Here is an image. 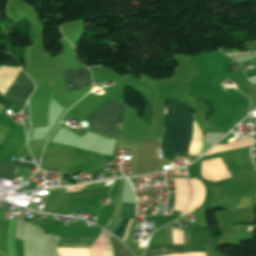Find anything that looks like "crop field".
Listing matches in <instances>:
<instances>
[{
    "instance_id": "obj_1",
    "label": "crop field",
    "mask_w": 256,
    "mask_h": 256,
    "mask_svg": "<svg viewBox=\"0 0 256 256\" xmlns=\"http://www.w3.org/2000/svg\"><path fill=\"white\" fill-rule=\"evenodd\" d=\"M168 109L164 122V133L161 140L163 155L188 154L192 138L193 109L175 100L168 99Z\"/></svg>"
},
{
    "instance_id": "obj_2",
    "label": "crop field",
    "mask_w": 256,
    "mask_h": 256,
    "mask_svg": "<svg viewBox=\"0 0 256 256\" xmlns=\"http://www.w3.org/2000/svg\"><path fill=\"white\" fill-rule=\"evenodd\" d=\"M122 115L123 105L108 100L90 115L87 120L92 130L108 136L118 137L120 130L115 129L114 126L116 123H121Z\"/></svg>"
},
{
    "instance_id": "obj_3",
    "label": "crop field",
    "mask_w": 256,
    "mask_h": 256,
    "mask_svg": "<svg viewBox=\"0 0 256 256\" xmlns=\"http://www.w3.org/2000/svg\"><path fill=\"white\" fill-rule=\"evenodd\" d=\"M33 88V83L24 74L3 96L23 108Z\"/></svg>"
},
{
    "instance_id": "obj_4",
    "label": "crop field",
    "mask_w": 256,
    "mask_h": 256,
    "mask_svg": "<svg viewBox=\"0 0 256 256\" xmlns=\"http://www.w3.org/2000/svg\"><path fill=\"white\" fill-rule=\"evenodd\" d=\"M201 175L203 179L209 181L227 179L230 177L220 158L202 161Z\"/></svg>"
},
{
    "instance_id": "obj_5",
    "label": "crop field",
    "mask_w": 256,
    "mask_h": 256,
    "mask_svg": "<svg viewBox=\"0 0 256 256\" xmlns=\"http://www.w3.org/2000/svg\"><path fill=\"white\" fill-rule=\"evenodd\" d=\"M64 74L68 91L80 89L92 84L91 75L87 69L66 71Z\"/></svg>"
},
{
    "instance_id": "obj_6",
    "label": "crop field",
    "mask_w": 256,
    "mask_h": 256,
    "mask_svg": "<svg viewBox=\"0 0 256 256\" xmlns=\"http://www.w3.org/2000/svg\"><path fill=\"white\" fill-rule=\"evenodd\" d=\"M188 180V179H187ZM189 184V181H188ZM175 185V207L173 210L183 211L188 203V185L186 179H174ZM191 197V190L189 184V199Z\"/></svg>"
},
{
    "instance_id": "obj_7",
    "label": "crop field",
    "mask_w": 256,
    "mask_h": 256,
    "mask_svg": "<svg viewBox=\"0 0 256 256\" xmlns=\"http://www.w3.org/2000/svg\"><path fill=\"white\" fill-rule=\"evenodd\" d=\"M190 251L191 249L189 246L185 245H157L148 246L144 256H165Z\"/></svg>"
},
{
    "instance_id": "obj_8",
    "label": "crop field",
    "mask_w": 256,
    "mask_h": 256,
    "mask_svg": "<svg viewBox=\"0 0 256 256\" xmlns=\"http://www.w3.org/2000/svg\"><path fill=\"white\" fill-rule=\"evenodd\" d=\"M192 184V200L188 203L185 211L183 214L193 211L200 207L203 199H204V186L203 184L197 179H189Z\"/></svg>"
},
{
    "instance_id": "obj_9",
    "label": "crop field",
    "mask_w": 256,
    "mask_h": 256,
    "mask_svg": "<svg viewBox=\"0 0 256 256\" xmlns=\"http://www.w3.org/2000/svg\"><path fill=\"white\" fill-rule=\"evenodd\" d=\"M95 238L60 237L57 247L89 248Z\"/></svg>"
},
{
    "instance_id": "obj_10",
    "label": "crop field",
    "mask_w": 256,
    "mask_h": 256,
    "mask_svg": "<svg viewBox=\"0 0 256 256\" xmlns=\"http://www.w3.org/2000/svg\"><path fill=\"white\" fill-rule=\"evenodd\" d=\"M167 244H173L171 225L166 227ZM177 244H181V230L177 231ZM182 244H192V236L182 232Z\"/></svg>"
},
{
    "instance_id": "obj_11",
    "label": "crop field",
    "mask_w": 256,
    "mask_h": 256,
    "mask_svg": "<svg viewBox=\"0 0 256 256\" xmlns=\"http://www.w3.org/2000/svg\"><path fill=\"white\" fill-rule=\"evenodd\" d=\"M109 239L112 243L114 256H128V251L117 239L114 237H110Z\"/></svg>"
},
{
    "instance_id": "obj_12",
    "label": "crop field",
    "mask_w": 256,
    "mask_h": 256,
    "mask_svg": "<svg viewBox=\"0 0 256 256\" xmlns=\"http://www.w3.org/2000/svg\"><path fill=\"white\" fill-rule=\"evenodd\" d=\"M135 205L122 204L120 217L134 218Z\"/></svg>"
},
{
    "instance_id": "obj_13",
    "label": "crop field",
    "mask_w": 256,
    "mask_h": 256,
    "mask_svg": "<svg viewBox=\"0 0 256 256\" xmlns=\"http://www.w3.org/2000/svg\"><path fill=\"white\" fill-rule=\"evenodd\" d=\"M128 220H129V219H123V221H122V223L120 224V226H119V227L115 230V232L113 233V234H115L116 236H118L120 239L123 238V235H124V232H125V229H126ZM130 221H131V220H129V223H128V226H127V229H126V232H125L123 241L125 240V238H126V236H127V232H128V228H129V225H130Z\"/></svg>"
},
{
    "instance_id": "obj_14",
    "label": "crop field",
    "mask_w": 256,
    "mask_h": 256,
    "mask_svg": "<svg viewBox=\"0 0 256 256\" xmlns=\"http://www.w3.org/2000/svg\"><path fill=\"white\" fill-rule=\"evenodd\" d=\"M10 165L19 166V167H27V168H35L36 169L35 165L28 164V163H18V162L11 161ZM13 166H10L8 179L14 181V178H15V167H13Z\"/></svg>"
},
{
    "instance_id": "obj_15",
    "label": "crop field",
    "mask_w": 256,
    "mask_h": 256,
    "mask_svg": "<svg viewBox=\"0 0 256 256\" xmlns=\"http://www.w3.org/2000/svg\"><path fill=\"white\" fill-rule=\"evenodd\" d=\"M109 236H111V235H109L107 232L103 231L102 237H103L105 256H113L111 244L108 240Z\"/></svg>"
},
{
    "instance_id": "obj_16",
    "label": "crop field",
    "mask_w": 256,
    "mask_h": 256,
    "mask_svg": "<svg viewBox=\"0 0 256 256\" xmlns=\"http://www.w3.org/2000/svg\"><path fill=\"white\" fill-rule=\"evenodd\" d=\"M121 221V218H111L105 228L113 233V231L118 227Z\"/></svg>"
},
{
    "instance_id": "obj_17",
    "label": "crop field",
    "mask_w": 256,
    "mask_h": 256,
    "mask_svg": "<svg viewBox=\"0 0 256 256\" xmlns=\"http://www.w3.org/2000/svg\"><path fill=\"white\" fill-rule=\"evenodd\" d=\"M9 166L0 164V178L7 179Z\"/></svg>"
},
{
    "instance_id": "obj_18",
    "label": "crop field",
    "mask_w": 256,
    "mask_h": 256,
    "mask_svg": "<svg viewBox=\"0 0 256 256\" xmlns=\"http://www.w3.org/2000/svg\"><path fill=\"white\" fill-rule=\"evenodd\" d=\"M244 72H245L246 75H247V74H251V73L256 72V68H252V69L246 70V71H244ZM254 75H256V73L251 74V75H247V78L252 77V76H254Z\"/></svg>"
},
{
    "instance_id": "obj_19",
    "label": "crop field",
    "mask_w": 256,
    "mask_h": 256,
    "mask_svg": "<svg viewBox=\"0 0 256 256\" xmlns=\"http://www.w3.org/2000/svg\"><path fill=\"white\" fill-rule=\"evenodd\" d=\"M0 103L5 104V103H4V100H3V98H2V96H1V95H0Z\"/></svg>"
},
{
    "instance_id": "obj_20",
    "label": "crop field",
    "mask_w": 256,
    "mask_h": 256,
    "mask_svg": "<svg viewBox=\"0 0 256 256\" xmlns=\"http://www.w3.org/2000/svg\"><path fill=\"white\" fill-rule=\"evenodd\" d=\"M250 52H247V53H239V54H232V55H240V54H248ZM232 55H228V56H232Z\"/></svg>"
},
{
    "instance_id": "obj_21",
    "label": "crop field",
    "mask_w": 256,
    "mask_h": 256,
    "mask_svg": "<svg viewBox=\"0 0 256 256\" xmlns=\"http://www.w3.org/2000/svg\"><path fill=\"white\" fill-rule=\"evenodd\" d=\"M256 85V84H255Z\"/></svg>"
}]
</instances>
